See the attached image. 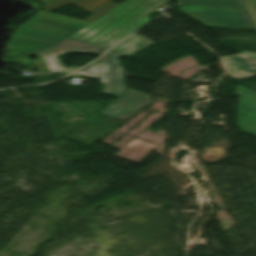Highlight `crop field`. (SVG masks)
<instances>
[{
	"label": "crop field",
	"mask_w": 256,
	"mask_h": 256,
	"mask_svg": "<svg viewBox=\"0 0 256 256\" xmlns=\"http://www.w3.org/2000/svg\"><path fill=\"white\" fill-rule=\"evenodd\" d=\"M122 57L112 51L100 60L74 73L79 76L100 80V93L118 97L99 114L125 122L140 110L151 104L152 96L124 87Z\"/></svg>",
	"instance_id": "obj_1"
},
{
	"label": "crop field",
	"mask_w": 256,
	"mask_h": 256,
	"mask_svg": "<svg viewBox=\"0 0 256 256\" xmlns=\"http://www.w3.org/2000/svg\"><path fill=\"white\" fill-rule=\"evenodd\" d=\"M178 11L207 27L255 30L242 0H173Z\"/></svg>",
	"instance_id": "obj_2"
},
{
	"label": "crop field",
	"mask_w": 256,
	"mask_h": 256,
	"mask_svg": "<svg viewBox=\"0 0 256 256\" xmlns=\"http://www.w3.org/2000/svg\"><path fill=\"white\" fill-rule=\"evenodd\" d=\"M151 11L152 9L140 5L88 39L86 42L108 48L123 37L149 22L150 19L148 13Z\"/></svg>",
	"instance_id": "obj_3"
},
{
	"label": "crop field",
	"mask_w": 256,
	"mask_h": 256,
	"mask_svg": "<svg viewBox=\"0 0 256 256\" xmlns=\"http://www.w3.org/2000/svg\"><path fill=\"white\" fill-rule=\"evenodd\" d=\"M105 50L106 48L68 38L50 49L38 52V55L53 74L65 75L78 67L65 68L59 56L66 55L68 52L89 53L99 56Z\"/></svg>",
	"instance_id": "obj_4"
},
{
	"label": "crop field",
	"mask_w": 256,
	"mask_h": 256,
	"mask_svg": "<svg viewBox=\"0 0 256 256\" xmlns=\"http://www.w3.org/2000/svg\"><path fill=\"white\" fill-rule=\"evenodd\" d=\"M164 2L166 0H126L73 35L72 38L85 41L140 4L154 9Z\"/></svg>",
	"instance_id": "obj_5"
},
{
	"label": "crop field",
	"mask_w": 256,
	"mask_h": 256,
	"mask_svg": "<svg viewBox=\"0 0 256 256\" xmlns=\"http://www.w3.org/2000/svg\"><path fill=\"white\" fill-rule=\"evenodd\" d=\"M237 125L241 132L256 136V92L238 84Z\"/></svg>",
	"instance_id": "obj_6"
},
{
	"label": "crop field",
	"mask_w": 256,
	"mask_h": 256,
	"mask_svg": "<svg viewBox=\"0 0 256 256\" xmlns=\"http://www.w3.org/2000/svg\"><path fill=\"white\" fill-rule=\"evenodd\" d=\"M228 74L243 80L256 74V54L243 51L235 56L222 57Z\"/></svg>",
	"instance_id": "obj_7"
},
{
	"label": "crop field",
	"mask_w": 256,
	"mask_h": 256,
	"mask_svg": "<svg viewBox=\"0 0 256 256\" xmlns=\"http://www.w3.org/2000/svg\"><path fill=\"white\" fill-rule=\"evenodd\" d=\"M155 147V145L134 139L114 156L141 164Z\"/></svg>",
	"instance_id": "obj_8"
},
{
	"label": "crop field",
	"mask_w": 256,
	"mask_h": 256,
	"mask_svg": "<svg viewBox=\"0 0 256 256\" xmlns=\"http://www.w3.org/2000/svg\"><path fill=\"white\" fill-rule=\"evenodd\" d=\"M154 44H156V43L135 34L132 37H130L129 39H127L124 42H122L121 44H119L118 46H116L112 50H114L126 57H129V56H131L141 50H144Z\"/></svg>",
	"instance_id": "obj_9"
},
{
	"label": "crop field",
	"mask_w": 256,
	"mask_h": 256,
	"mask_svg": "<svg viewBox=\"0 0 256 256\" xmlns=\"http://www.w3.org/2000/svg\"><path fill=\"white\" fill-rule=\"evenodd\" d=\"M256 27V0H243Z\"/></svg>",
	"instance_id": "obj_10"
}]
</instances>
